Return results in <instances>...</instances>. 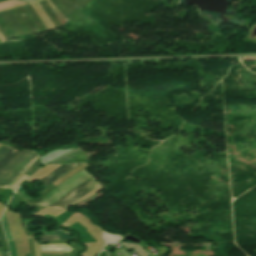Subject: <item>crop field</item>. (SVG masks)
Returning <instances> with one entry per match:
<instances>
[{
	"instance_id": "8a807250",
	"label": "crop field",
	"mask_w": 256,
	"mask_h": 256,
	"mask_svg": "<svg viewBox=\"0 0 256 256\" xmlns=\"http://www.w3.org/2000/svg\"><path fill=\"white\" fill-rule=\"evenodd\" d=\"M33 151H20L0 173V187L8 185L35 157ZM38 158V156L6 187L13 184Z\"/></svg>"
},
{
	"instance_id": "ac0d7876",
	"label": "crop field",
	"mask_w": 256,
	"mask_h": 256,
	"mask_svg": "<svg viewBox=\"0 0 256 256\" xmlns=\"http://www.w3.org/2000/svg\"><path fill=\"white\" fill-rule=\"evenodd\" d=\"M92 176L88 174L85 170L77 173L70 179H68L66 182L49 192L43 199H41L36 205L37 206H43L47 207L51 203L58 200L60 197H62L64 194L69 192L71 189H73L75 186L85 182Z\"/></svg>"
},
{
	"instance_id": "34b2d1b8",
	"label": "crop field",
	"mask_w": 256,
	"mask_h": 256,
	"mask_svg": "<svg viewBox=\"0 0 256 256\" xmlns=\"http://www.w3.org/2000/svg\"><path fill=\"white\" fill-rule=\"evenodd\" d=\"M87 181V180H86ZM100 186L95 179L92 177L87 182L81 184L80 186L74 188L53 205L49 206L50 208L62 209L65 210L77 200L82 198L84 195L89 193L94 188Z\"/></svg>"
},
{
	"instance_id": "412701ff",
	"label": "crop field",
	"mask_w": 256,
	"mask_h": 256,
	"mask_svg": "<svg viewBox=\"0 0 256 256\" xmlns=\"http://www.w3.org/2000/svg\"><path fill=\"white\" fill-rule=\"evenodd\" d=\"M80 164H68V165H62L52 171L50 174H48L46 177H44L40 182L45 184L46 186L52 183L54 180H56L58 177L63 175L64 173L72 170L73 168L77 167Z\"/></svg>"
},
{
	"instance_id": "f4fd0767",
	"label": "crop field",
	"mask_w": 256,
	"mask_h": 256,
	"mask_svg": "<svg viewBox=\"0 0 256 256\" xmlns=\"http://www.w3.org/2000/svg\"><path fill=\"white\" fill-rule=\"evenodd\" d=\"M42 251L70 252L73 250L68 244L45 245L41 246Z\"/></svg>"
},
{
	"instance_id": "dd49c442",
	"label": "crop field",
	"mask_w": 256,
	"mask_h": 256,
	"mask_svg": "<svg viewBox=\"0 0 256 256\" xmlns=\"http://www.w3.org/2000/svg\"><path fill=\"white\" fill-rule=\"evenodd\" d=\"M44 234H45V236L58 234L59 239H72L70 235H68L64 232H45ZM58 237H57V235H54V236L39 237V238L41 239L40 241H45V240L58 239Z\"/></svg>"
},
{
	"instance_id": "e52e79f7",
	"label": "crop field",
	"mask_w": 256,
	"mask_h": 256,
	"mask_svg": "<svg viewBox=\"0 0 256 256\" xmlns=\"http://www.w3.org/2000/svg\"><path fill=\"white\" fill-rule=\"evenodd\" d=\"M18 152L10 149L9 152L0 160V171Z\"/></svg>"
},
{
	"instance_id": "d8731c3e",
	"label": "crop field",
	"mask_w": 256,
	"mask_h": 256,
	"mask_svg": "<svg viewBox=\"0 0 256 256\" xmlns=\"http://www.w3.org/2000/svg\"><path fill=\"white\" fill-rule=\"evenodd\" d=\"M2 224H3V228H4V231H5V234L7 236V240L8 241L13 240L12 234H11V230H10V227L8 225V221H7V217H6L5 212H4L3 217H2Z\"/></svg>"
},
{
	"instance_id": "5a996713",
	"label": "crop field",
	"mask_w": 256,
	"mask_h": 256,
	"mask_svg": "<svg viewBox=\"0 0 256 256\" xmlns=\"http://www.w3.org/2000/svg\"><path fill=\"white\" fill-rule=\"evenodd\" d=\"M9 148L2 146L0 148V159L8 152Z\"/></svg>"
}]
</instances>
